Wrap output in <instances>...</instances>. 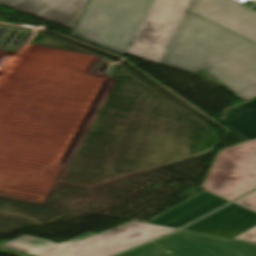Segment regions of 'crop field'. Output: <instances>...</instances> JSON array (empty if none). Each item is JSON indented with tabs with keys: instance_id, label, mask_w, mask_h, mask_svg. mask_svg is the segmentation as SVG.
<instances>
[{
	"instance_id": "22f410ed",
	"label": "crop field",
	"mask_w": 256,
	"mask_h": 256,
	"mask_svg": "<svg viewBox=\"0 0 256 256\" xmlns=\"http://www.w3.org/2000/svg\"><path fill=\"white\" fill-rule=\"evenodd\" d=\"M234 239H240V240H245V241H250V242L256 243V226L251 228L250 230L234 237Z\"/></svg>"
},
{
	"instance_id": "dd49c442",
	"label": "crop field",
	"mask_w": 256,
	"mask_h": 256,
	"mask_svg": "<svg viewBox=\"0 0 256 256\" xmlns=\"http://www.w3.org/2000/svg\"><path fill=\"white\" fill-rule=\"evenodd\" d=\"M256 225V213L235 203L197 221L185 230L232 238Z\"/></svg>"
},
{
	"instance_id": "d8731c3e",
	"label": "crop field",
	"mask_w": 256,
	"mask_h": 256,
	"mask_svg": "<svg viewBox=\"0 0 256 256\" xmlns=\"http://www.w3.org/2000/svg\"><path fill=\"white\" fill-rule=\"evenodd\" d=\"M228 202L204 191L188 201L158 215L148 223L178 229Z\"/></svg>"
},
{
	"instance_id": "ac0d7876",
	"label": "crop field",
	"mask_w": 256,
	"mask_h": 256,
	"mask_svg": "<svg viewBox=\"0 0 256 256\" xmlns=\"http://www.w3.org/2000/svg\"><path fill=\"white\" fill-rule=\"evenodd\" d=\"M202 188L230 201L256 188V140L222 150Z\"/></svg>"
},
{
	"instance_id": "e52e79f7",
	"label": "crop field",
	"mask_w": 256,
	"mask_h": 256,
	"mask_svg": "<svg viewBox=\"0 0 256 256\" xmlns=\"http://www.w3.org/2000/svg\"><path fill=\"white\" fill-rule=\"evenodd\" d=\"M88 0H0V4L74 28Z\"/></svg>"
},
{
	"instance_id": "28ad6ade",
	"label": "crop field",
	"mask_w": 256,
	"mask_h": 256,
	"mask_svg": "<svg viewBox=\"0 0 256 256\" xmlns=\"http://www.w3.org/2000/svg\"><path fill=\"white\" fill-rule=\"evenodd\" d=\"M117 256H173V255L153 242V243L141 246L139 248L127 251Z\"/></svg>"
},
{
	"instance_id": "8a807250",
	"label": "crop field",
	"mask_w": 256,
	"mask_h": 256,
	"mask_svg": "<svg viewBox=\"0 0 256 256\" xmlns=\"http://www.w3.org/2000/svg\"><path fill=\"white\" fill-rule=\"evenodd\" d=\"M191 0H91L72 36L195 73L256 97V44L188 11Z\"/></svg>"
},
{
	"instance_id": "5a996713",
	"label": "crop field",
	"mask_w": 256,
	"mask_h": 256,
	"mask_svg": "<svg viewBox=\"0 0 256 256\" xmlns=\"http://www.w3.org/2000/svg\"><path fill=\"white\" fill-rule=\"evenodd\" d=\"M0 251L15 256H101L27 235H23L11 242L0 241Z\"/></svg>"
},
{
	"instance_id": "f4fd0767",
	"label": "crop field",
	"mask_w": 256,
	"mask_h": 256,
	"mask_svg": "<svg viewBox=\"0 0 256 256\" xmlns=\"http://www.w3.org/2000/svg\"><path fill=\"white\" fill-rule=\"evenodd\" d=\"M188 11L256 43V13L230 0H192Z\"/></svg>"
},
{
	"instance_id": "3316defc",
	"label": "crop field",
	"mask_w": 256,
	"mask_h": 256,
	"mask_svg": "<svg viewBox=\"0 0 256 256\" xmlns=\"http://www.w3.org/2000/svg\"><path fill=\"white\" fill-rule=\"evenodd\" d=\"M224 112L222 122L246 140L256 139V98L245 104L228 108Z\"/></svg>"
},
{
	"instance_id": "412701ff",
	"label": "crop field",
	"mask_w": 256,
	"mask_h": 256,
	"mask_svg": "<svg viewBox=\"0 0 256 256\" xmlns=\"http://www.w3.org/2000/svg\"><path fill=\"white\" fill-rule=\"evenodd\" d=\"M155 243L175 256H256V244L184 231Z\"/></svg>"
},
{
	"instance_id": "d1516ede",
	"label": "crop field",
	"mask_w": 256,
	"mask_h": 256,
	"mask_svg": "<svg viewBox=\"0 0 256 256\" xmlns=\"http://www.w3.org/2000/svg\"><path fill=\"white\" fill-rule=\"evenodd\" d=\"M235 203L256 212V191L236 201Z\"/></svg>"
},
{
	"instance_id": "34b2d1b8",
	"label": "crop field",
	"mask_w": 256,
	"mask_h": 256,
	"mask_svg": "<svg viewBox=\"0 0 256 256\" xmlns=\"http://www.w3.org/2000/svg\"><path fill=\"white\" fill-rule=\"evenodd\" d=\"M175 229L130 221L98 235L87 233L62 244L109 256Z\"/></svg>"
}]
</instances>
